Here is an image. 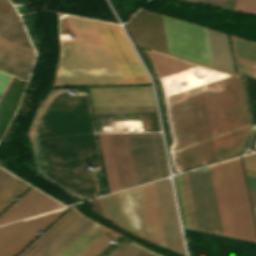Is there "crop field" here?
Listing matches in <instances>:
<instances>
[{"mask_svg": "<svg viewBox=\"0 0 256 256\" xmlns=\"http://www.w3.org/2000/svg\"><path fill=\"white\" fill-rule=\"evenodd\" d=\"M100 199L105 215H107L108 217L112 218L113 220L122 225L116 193L105 197H101Z\"/></svg>", "mask_w": 256, "mask_h": 256, "instance_id": "obj_22", "label": "crop field"}, {"mask_svg": "<svg viewBox=\"0 0 256 256\" xmlns=\"http://www.w3.org/2000/svg\"><path fill=\"white\" fill-rule=\"evenodd\" d=\"M92 22L124 83L150 82L122 28L96 20Z\"/></svg>", "mask_w": 256, "mask_h": 256, "instance_id": "obj_4", "label": "crop field"}, {"mask_svg": "<svg viewBox=\"0 0 256 256\" xmlns=\"http://www.w3.org/2000/svg\"><path fill=\"white\" fill-rule=\"evenodd\" d=\"M128 136L138 185L167 176L161 134L137 133Z\"/></svg>", "mask_w": 256, "mask_h": 256, "instance_id": "obj_5", "label": "crop field"}, {"mask_svg": "<svg viewBox=\"0 0 256 256\" xmlns=\"http://www.w3.org/2000/svg\"><path fill=\"white\" fill-rule=\"evenodd\" d=\"M81 216L72 208L19 256H37Z\"/></svg>", "mask_w": 256, "mask_h": 256, "instance_id": "obj_11", "label": "crop field"}, {"mask_svg": "<svg viewBox=\"0 0 256 256\" xmlns=\"http://www.w3.org/2000/svg\"><path fill=\"white\" fill-rule=\"evenodd\" d=\"M231 38L236 57L256 62V43L232 36Z\"/></svg>", "mask_w": 256, "mask_h": 256, "instance_id": "obj_19", "label": "crop field"}, {"mask_svg": "<svg viewBox=\"0 0 256 256\" xmlns=\"http://www.w3.org/2000/svg\"><path fill=\"white\" fill-rule=\"evenodd\" d=\"M162 17L170 54L212 66L204 28L163 15Z\"/></svg>", "mask_w": 256, "mask_h": 256, "instance_id": "obj_6", "label": "crop field"}, {"mask_svg": "<svg viewBox=\"0 0 256 256\" xmlns=\"http://www.w3.org/2000/svg\"><path fill=\"white\" fill-rule=\"evenodd\" d=\"M122 187L136 186V178L127 134H112Z\"/></svg>", "mask_w": 256, "mask_h": 256, "instance_id": "obj_12", "label": "crop field"}, {"mask_svg": "<svg viewBox=\"0 0 256 256\" xmlns=\"http://www.w3.org/2000/svg\"><path fill=\"white\" fill-rule=\"evenodd\" d=\"M117 237L118 235L107 230L78 256H97L105 247L111 243L112 240Z\"/></svg>", "mask_w": 256, "mask_h": 256, "instance_id": "obj_20", "label": "crop field"}, {"mask_svg": "<svg viewBox=\"0 0 256 256\" xmlns=\"http://www.w3.org/2000/svg\"><path fill=\"white\" fill-rule=\"evenodd\" d=\"M0 40H2V41H4V42H7V43H9V44H12V45H14V46H17V47H19V48H22V49H24V50H27V51H29V52L34 53V51H32V50H30V49H27V48H25V47H22V46H20V45H17V44H15V43H12V42L7 41V40H5V39L0 38ZM2 41H0V52H1V53L6 54V55H8V56H11V57H13V58L19 59V60H21V61H24V62L29 63V64L32 65V62H33V59H34V56H35L34 54H35V53H34V54L29 53V52H27V51H24V50H22V49H19V48H17V47H14V46H12V45H9V44H7V43H4V42H2Z\"/></svg>", "mask_w": 256, "mask_h": 256, "instance_id": "obj_18", "label": "crop field"}, {"mask_svg": "<svg viewBox=\"0 0 256 256\" xmlns=\"http://www.w3.org/2000/svg\"><path fill=\"white\" fill-rule=\"evenodd\" d=\"M117 195L124 228L165 246L153 183L118 192Z\"/></svg>", "mask_w": 256, "mask_h": 256, "instance_id": "obj_3", "label": "crop field"}, {"mask_svg": "<svg viewBox=\"0 0 256 256\" xmlns=\"http://www.w3.org/2000/svg\"><path fill=\"white\" fill-rule=\"evenodd\" d=\"M211 2H212V0H200V2H199V3H202V4H208V5H210V4H211Z\"/></svg>", "mask_w": 256, "mask_h": 256, "instance_id": "obj_31", "label": "crop field"}, {"mask_svg": "<svg viewBox=\"0 0 256 256\" xmlns=\"http://www.w3.org/2000/svg\"><path fill=\"white\" fill-rule=\"evenodd\" d=\"M167 248L185 254L170 180L154 183Z\"/></svg>", "mask_w": 256, "mask_h": 256, "instance_id": "obj_9", "label": "crop field"}, {"mask_svg": "<svg viewBox=\"0 0 256 256\" xmlns=\"http://www.w3.org/2000/svg\"><path fill=\"white\" fill-rule=\"evenodd\" d=\"M94 113L157 111L155 106L93 107Z\"/></svg>", "mask_w": 256, "mask_h": 256, "instance_id": "obj_23", "label": "crop field"}, {"mask_svg": "<svg viewBox=\"0 0 256 256\" xmlns=\"http://www.w3.org/2000/svg\"><path fill=\"white\" fill-rule=\"evenodd\" d=\"M250 192L251 204L252 206L256 207V192Z\"/></svg>", "mask_w": 256, "mask_h": 256, "instance_id": "obj_29", "label": "crop field"}, {"mask_svg": "<svg viewBox=\"0 0 256 256\" xmlns=\"http://www.w3.org/2000/svg\"><path fill=\"white\" fill-rule=\"evenodd\" d=\"M210 169L224 235L256 241L239 158Z\"/></svg>", "mask_w": 256, "mask_h": 256, "instance_id": "obj_2", "label": "crop field"}, {"mask_svg": "<svg viewBox=\"0 0 256 256\" xmlns=\"http://www.w3.org/2000/svg\"><path fill=\"white\" fill-rule=\"evenodd\" d=\"M254 210V216H255V222H256V208L253 207Z\"/></svg>", "mask_w": 256, "mask_h": 256, "instance_id": "obj_32", "label": "crop field"}, {"mask_svg": "<svg viewBox=\"0 0 256 256\" xmlns=\"http://www.w3.org/2000/svg\"><path fill=\"white\" fill-rule=\"evenodd\" d=\"M186 175L198 230L223 235L209 167Z\"/></svg>", "mask_w": 256, "mask_h": 256, "instance_id": "obj_7", "label": "crop field"}, {"mask_svg": "<svg viewBox=\"0 0 256 256\" xmlns=\"http://www.w3.org/2000/svg\"><path fill=\"white\" fill-rule=\"evenodd\" d=\"M22 84H23V80H20L18 78L13 77V79H12V81H11V83H10L6 93H5V96H7V98L4 102V104L0 103V131L3 128V126L5 125L7 119L9 118V116L12 112L13 106L15 104V101H16L17 97H18V94H19V91L21 89ZM25 84H26V82H24V84L22 86L21 92H20L19 97L17 99V102L14 106V110L17 106V103H18L20 97H21L22 90H23ZM14 110H13V112H14ZM10 119H11V117L8 119L6 125L2 129V131L0 133V136L2 135L4 130L6 129Z\"/></svg>", "mask_w": 256, "mask_h": 256, "instance_id": "obj_16", "label": "crop field"}, {"mask_svg": "<svg viewBox=\"0 0 256 256\" xmlns=\"http://www.w3.org/2000/svg\"><path fill=\"white\" fill-rule=\"evenodd\" d=\"M0 37L32 49L21 22L2 13H0Z\"/></svg>", "mask_w": 256, "mask_h": 256, "instance_id": "obj_15", "label": "crop field"}, {"mask_svg": "<svg viewBox=\"0 0 256 256\" xmlns=\"http://www.w3.org/2000/svg\"><path fill=\"white\" fill-rule=\"evenodd\" d=\"M90 220L85 217H81L77 220L69 229H67L60 237H58L50 246H48L40 255L38 256H50L53 254L60 246H62L68 239H70L77 231H79L85 224ZM93 222H89L85 225L79 232H77L70 240H68L62 247H60L53 255L57 256L61 253L69 244H71L79 235H81Z\"/></svg>", "mask_w": 256, "mask_h": 256, "instance_id": "obj_14", "label": "crop field"}, {"mask_svg": "<svg viewBox=\"0 0 256 256\" xmlns=\"http://www.w3.org/2000/svg\"><path fill=\"white\" fill-rule=\"evenodd\" d=\"M18 179L0 193V210L29 187V185L23 183L24 181Z\"/></svg>", "mask_w": 256, "mask_h": 256, "instance_id": "obj_21", "label": "crop field"}, {"mask_svg": "<svg viewBox=\"0 0 256 256\" xmlns=\"http://www.w3.org/2000/svg\"><path fill=\"white\" fill-rule=\"evenodd\" d=\"M206 31L213 66L234 72L227 35Z\"/></svg>", "mask_w": 256, "mask_h": 256, "instance_id": "obj_13", "label": "crop field"}, {"mask_svg": "<svg viewBox=\"0 0 256 256\" xmlns=\"http://www.w3.org/2000/svg\"><path fill=\"white\" fill-rule=\"evenodd\" d=\"M224 0H213L212 4L213 6H219L221 7Z\"/></svg>", "mask_w": 256, "mask_h": 256, "instance_id": "obj_30", "label": "crop field"}, {"mask_svg": "<svg viewBox=\"0 0 256 256\" xmlns=\"http://www.w3.org/2000/svg\"><path fill=\"white\" fill-rule=\"evenodd\" d=\"M57 210L0 228V256H13L64 210Z\"/></svg>", "mask_w": 256, "mask_h": 256, "instance_id": "obj_8", "label": "crop field"}, {"mask_svg": "<svg viewBox=\"0 0 256 256\" xmlns=\"http://www.w3.org/2000/svg\"><path fill=\"white\" fill-rule=\"evenodd\" d=\"M234 9L256 14V0H238Z\"/></svg>", "mask_w": 256, "mask_h": 256, "instance_id": "obj_24", "label": "crop field"}, {"mask_svg": "<svg viewBox=\"0 0 256 256\" xmlns=\"http://www.w3.org/2000/svg\"><path fill=\"white\" fill-rule=\"evenodd\" d=\"M17 178L0 168V192L3 191Z\"/></svg>", "mask_w": 256, "mask_h": 256, "instance_id": "obj_25", "label": "crop field"}, {"mask_svg": "<svg viewBox=\"0 0 256 256\" xmlns=\"http://www.w3.org/2000/svg\"><path fill=\"white\" fill-rule=\"evenodd\" d=\"M189 1L197 2V3L199 2V0H189Z\"/></svg>", "mask_w": 256, "mask_h": 256, "instance_id": "obj_33", "label": "crop field"}, {"mask_svg": "<svg viewBox=\"0 0 256 256\" xmlns=\"http://www.w3.org/2000/svg\"><path fill=\"white\" fill-rule=\"evenodd\" d=\"M0 60H2V61H4V62H7V63H9V64H12V65H14V66H17V67H19V68H22V69H24V70H27V71H31V65H29V64H26V63H24V62H21V61H19V60H16V59H13V58H11V57H8V56H6V55H3V54H1L0 53Z\"/></svg>", "mask_w": 256, "mask_h": 256, "instance_id": "obj_26", "label": "crop field"}, {"mask_svg": "<svg viewBox=\"0 0 256 256\" xmlns=\"http://www.w3.org/2000/svg\"><path fill=\"white\" fill-rule=\"evenodd\" d=\"M65 17L77 40H61L54 85L123 83L91 20Z\"/></svg>", "mask_w": 256, "mask_h": 256, "instance_id": "obj_1", "label": "crop field"}, {"mask_svg": "<svg viewBox=\"0 0 256 256\" xmlns=\"http://www.w3.org/2000/svg\"><path fill=\"white\" fill-rule=\"evenodd\" d=\"M63 206L35 188H31L0 215V224Z\"/></svg>", "mask_w": 256, "mask_h": 256, "instance_id": "obj_10", "label": "crop field"}, {"mask_svg": "<svg viewBox=\"0 0 256 256\" xmlns=\"http://www.w3.org/2000/svg\"><path fill=\"white\" fill-rule=\"evenodd\" d=\"M105 231L106 229L95 223L59 256H77Z\"/></svg>", "mask_w": 256, "mask_h": 256, "instance_id": "obj_17", "label": "crop field"}, {"mask_svg": "<svg viewBox=\"0 0 256 256\" xmlns=\"http://www.w3.org/2000/svg\"><path fill=\"white\" fill-rule=\"evenodd\" d=\"M246 178H247L249 189L256 190V178L248 177V176H246Z\"/></svg>", "mask_w": 256, "mask_h": 256, "instance_id": "obj_28", "label": "crop field"}, {"mask_svg": "<svg viewBox=\"0 0 256 256\" xmlns=\"http://www.w3.org/2000/svg\"><path fill=\"white\" fill-rule=\"evenodd\" d=\"M10 75L0 72V95L2 94Z\"/></svg>", "mask_w": 256, "mask_h": 256, "instance_id": "obj_27", "label": "crop field"}]
</instances>
